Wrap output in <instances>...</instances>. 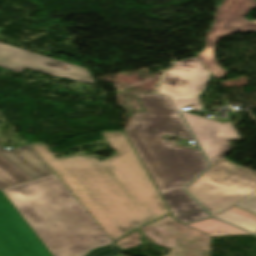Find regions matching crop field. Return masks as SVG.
Wrapping results in <instances>:
<instances>
[{"label": "crop field", "instance_id": "1", "mask_svg": "<svg viewBox=\"0 0 256 256\" xmlns=\"http://www.w3.org/2000/svg\"><path fill=\"white\" fill-rule=\"evenodd\" d=\"M117 154L99 161L79 153L56 158L42 143L31 144L114 242L167 213L124 132H101Z\"/></svg>", "mask_w": 256, "mask_h": 256}, {"label": "crop field", "instance_id": "2", "mask_svg": "<svg viewBox=\"0 0 256 256\" xmlns=\"http://www.w3.org/2000/svg\"><path fill=\"white\" fill-rule=\"evenodd\" d=\"M137 96L146 113L132 115L124 132L158 192L174 218L185 224L211 218L182 190L186 182L207 167L200 151L162 141L165 134L192 140L169 97Z\"/></svg>", "mask_w": 256, "mask_h": 256}, {"label": "crop field", "instance_id": "3", "mask_svg": "<svg viewBox=\"0 0 256 256\" xmlns=\"http://www.w3.org/2000/svg\"><path fill=\"white\" fill-rule=\"evenodd\" d=\"M3 191L53 256H85L112 242L56 175Z\"/></svg>", "mask_w": 256, "mask_h": 256}, {"label": "crop field", "instance_id": "4", "mask_svg": "<svg viewBox=\"0 0 256 256\" xmlns=\"http://www.w3.org/2000/svg\"><path fill=\"white\" fill-rule=\"evenodd\" d=\"M185 189L215 216L256 190V172L222 158Z\"/></svg>", "mask_w": 256, "mask_h": 256}, {"label": "crop field", "instance_id": "5", "mask_svg": "<svg viewBox=\"0 0 256 256\" xmlns=\"http://www.w3.org/2000/svg\"><path fill=\"white\" fill-rule=\"evenodd\" d=\"M139 229L154 245L171 249L165 256H210L213 237L176 221L172 214Z\"/></svg>", "mask_w": 256, "mask_h": 256}, {"label": "crop field", "instance_id": "6", "mask_svg": "<svg viewBox=\"0 0 256 256\" xmlns=\"http://www.w3.org/2000/svg\"><path fill=\"white\" fill-rule=\"evenodd\" d=\"M0 256H52L2 190Z\"/></svg>", "mask_w": 256, "mask_h": 256}, {"label": "crop field", "instance_id": "7", "mask_svg": "<svg viewBox=\"0 0 256 256\" xmlns=\"http://www.w3.org/2000/svg\"><path fill=\"white\" fill-rule=\"evenodd\" d=\"M210 75L196 58L178 61L164 73L159 92L170 95L179 111L182 107L202 110L198 97L203 93Z\"/></svg>", "mask_w": 256, "mask_h": 256}, {"label": "crop field", "instance_id": "8", "mask_svg": "<svg viewBox=\"0 0 256 256\" xmlns=\"http://www.w3.org/2000/svg\"><path fill=\"white\" fill-rule=\"evenodd\" d=\"M256 7L253 0H224L217 12L215 23L207 35V45L196 58L216 77L225 75L224 69L219 67L212 54L215 43L235 32L256 33V24L247 21L243 16Z\"/></svg>", "mask_w": 256, "mask_h": 256}, {"label": "crop field", "instance_id": "9", "mask_svg": "<svg viewBox=\"0 0 256 256\" xmlns=\"http://www.w3.org/2000/svg\"><path fill=\"white\" fill-rule=\"evenodd\" d=\"M67 67L66 70L60 68ZM0 67L15 73L25 68L50 76L93 84L87 69L0 43Z\"/></svg>", "mask_w": 256, "mask_h": 256}, {"label": "crop field", "instance_id": "10", "mask_svg": "<svg viewBox=\"0 0 256 256\" xmlns=\"http://www.w3.org/2000/svg\"><path fill=\"white\" fill-rule=\"evenodd\" d=\"M181 114L211 166L232 150L229 141L239 139L231 122L219 124L197 115Z\"/></svg>", "mask_w": 256, "mask_h": 256}, {"label": "crop field", "instance_id": "11", "mask_svg": "<svg viewBox=\"0 0 256 256\" xmlns=\"http://www.w3.org/2000/svg\"><path fill=\"white\" fill-rule=\"evenodd\" d=\"M0 153L35 179L55 174L31 145L13 150L0 148Z\"/></svg>", "mask_w": 256, "mask_h": 256}, {"label": "crop field", "instance_id": "12", "mask_svg": "<svg viewBox=\"0 0 256 256\" xmlns=\"http://www.w3.org/2000/svg\"><path fill=\"white\" fill-rule=\"evenodd\" d=\"M215 217L256 233V215L237 207H233Z\"/></svg>", "mask_w": 256, "mask_h": 256}, {"label": "crop field", "instance_id": "13", "mask_svg": "<svg viewBox=\"0 0 256 256\" xmlns=\"http://www.w3.org/2000/svg\"><path fill=\"white\" fill-rule=\"evenodd\" d=\"M193 228H196L204 233H207L213 237L222 235H237V234H249L236 227L217 221L213 218L187 224Z\"/></svg>", "mask_w": 256, "mask_h": 256}, {"label": "crop field", "instance_id": "14", "mask_svg": "<svg viewBox=\"0 0 256 256\" xmlns=\"http://www.w3.org/2000/svg\"><path fill=\"white\" fill-rule=\"evenodd\" d=\"M29 180L32 178L0 156V189Z\"/></svg>", "mask_w": 256, "mask_h": 256}, {"label": "crop field", "instance_id": "15", "mask_svg": "<svg viewBox=\"0 0 256 256\" xmlns=\"http://www.w3.org/2000/svg\"><path fill=\"white\" fill-rule=\"evenodd\" d=\"M141 237V235L135 230L122 240L115 243L119 248H121L123 251L128 250L130 248L136 247L138 245H141V242L138 241V238Z\"/></svg>", "mask_w": 256, "mask_h": 256}, {"label": "crop field", "instance_id": "16", "mask_svg": "<svg viewBox=\"0 0 256 256\" xmlns=\"http://www.w3.org/2000/svg\"><path fill=\"white\" fill-rule=\"evenodd\" d=\"M234 206L256 214V191L248 195L246 198H244Z\"/></svg>", "mask_w": 256, "mask_h": 256}, {"label": "crop field", "instance_id": "17", "mask_svg": "<svg viewBox=\"0 0 256 256\" xmlns=\"http://www.w3.org/2000/svg\"><path fill=\"white\" fill-rule=\"evenodd\" d=\"M123 252L115 244L92 251L88 256H114Z\"/></svg>", "mask_w": 256, "mask_h": 256}]
</instances>
